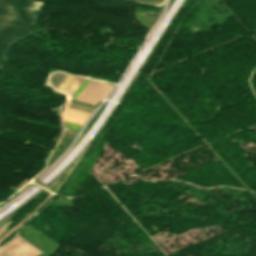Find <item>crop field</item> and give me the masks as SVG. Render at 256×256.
Segmentation results:
<instances>
[{
  "label": "crop field",
  "instance_id": "1",
  "mask_svg": "<svg viewBox=\"0 0 256 256\" xmlns=\"http://www.w3.org/2000/svg\"><path fill=\"white\" fill-rule=\"evenodd\" d=\"M42 4L29 0H0V16L35 23Z\"/></svg>",
  "mask_w": 256,
  "mask_h": 256
},
{
  "label": "crop field",
  "instance_id": "5",
  "mask_svg": "<svg viewBox=\"0 0 256 256\" xmlns=\"http://www.w3.org/2000/svg\"><path fill=\"white\" fill-rule=\"evenodd\" d=\"M0 23L9 25V26H13V27L27 29V30H32V31L35 30V28H34L35 24H33V23L12 20V19L2 18V17H0Z\"/></svg>",
  "mask_w": 256,
  "mask_h": 256
},
{
  "label": "crop field",
  "instance_id": "4",
  "mask_svg": "<svg viewBox=\"0 0 256 256\" xmlns=\"http://www.w3.org/2000/svg\"><path fill=\"white\" fill-rule=\"evenodd\" d=\"M89 113L78 111L72 108L66 107L63 111V116L65 119L77 121L83 123L84 120L88 117Z\"/></svg>",
  "mask_w": 256,
  "mask_h": 256
},
{
  "label": "crop field",
  "instance_id": "3",
  "mask_svg": "<svg viewBox=\"0 0 256 256\" xmlns=\"http://www.w3.org/2000/svg\"><path fill=\"white\" fill-rule=\"evenodd\" d=\"M32 33L34 32L0 24V61L11 43Z\"/></svg>",
  "mask_w": 256,
  "mask_h": 256
},
{
  "label": "crop field",
  "instance_id": "8",
  "mask_svg": "<svg viewBox=\"0 0 256 256\" xmlns=\"http://www.w3.org/2000/svg\"><path fill=\"white\" fill-rule=\"evenodd\" d=\"M134 1H139V2H144V3H150V4H161L163 3L164 0H134Z\"/></svg>",
  "mask_w": 256,
  "mask_h": 256
},
{
  "label": "crop field",
  "instance_id": "2",
  "mask_svg": "<svg viewBox=\"0 0 256 256\" xmlns=\"http://www.w3.org/2000/svg\"><path fill=\"white\" fill-rule=\"evenodd\" d=\"M82 81V79L68 76L59 89L66 91L70 96H72ZM112 87V85L89 81L84 90L78 96V99L97 104L99 100H102L108 94Z\"/></svg>",
  "mask_w": 256,
  "mask_h": 256
},
{
  "label": "crop field",
  "instance_id": "6",
  "mask_svg": "<svg viewBox=\"0 0 256 256\" xmlns=\"http://www.w3.org/2000/svg\"><path fill=\"white\" fill-rule=\"evenodd\" d=\"M68 107H72V108L79 109L89 113H91L92 109L94 108L93 106H89V105H85V104H81L73 101H71L68 104Z\"/></svg>",
  "mask_w": 256,
  "mask_h": 256
},
{
  "label": "crop field",
  "instance_id": "7",
  "mask_svg": "<svg viewBox=\"0 0 256 256\" xmlns=\"http://www.w3.org/2000/svg\"><path fill=\"white\" fill-rule=\"evenodd\" d=\"M66 77H67V75H64L61 73H55L52 78V84L58 88Z\"/></svg>",
  "mask_w": 256,
  "mask_h": 256
}]
</instances>
